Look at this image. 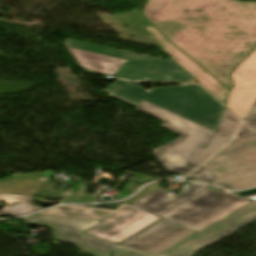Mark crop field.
I'll return each mask as SVG.
<instances>
[{"mask_svg": "<svg viewBox=\"0 0 256 256\" xmlns=\"http://www.w3.org/2000/svg\"><path fill=\"white\" fill-rule=\"evenodd\" d=\"M143 13L230 89L229 73L256 43V2L149 0Z\"/></svg>", "mask_w": 256, "mask_h": 256, "instance_id": "obj_1", "label": "crop field"}, {"mask_svg": "<svg viewBox=\"0 0 256 256\" xmlns=\"http://www.w3.org/2000/svg\"><path fill=\"white\" fill-rule=\"evenodd\" d=\"M102 90L134 107L145 100L211 131H215L223 110V106L199 85L168 86L145 91L118 80Z\"/></svg>", "mask_w": 256, "mask_h": 256, "instance_id": "obj_2", "label": "crop field"}, {"mask_svg": "<svg viewBox=\"0 0 256 256\" xmlns=\"http://www.w3.org/2000/svg\"><path fill=\"white\" fill-rule=\"evenodd\" d=\"M65 45L80 66L136 83L191 79L171 61H163L68 38Z\"/></svg>", "mask_w": 256, "mask_h": 256, "instance_id": "obj_3", "label": "crop field"}, {"mask_svg": "<svg viewBox=\"0 0 256 256\" xmlns=\"http://www.w3.org/2000/svg\"><path fill=\"white\" fill-rule=\"evenodd\" d=\"M135 110L164 122L159 127L181 136L152 150L168 173L187 174L199 166L194 158L210 139L213 134L211 130L208 131L145 101Z\"/></svg>", "mask_w": 256, "mask_h": 256, "instance_id": "obj_4", "label": "crop field"}, {"mask_svg": "<svg viewBox=\"0 0 256 256\" xmlns=\"http://www.w3.org/2000/svg\"><path fill=\"white\" fill-rule=\"evenodd\" d=\"M38 214L103 220L84 233L116 243L161 219L131 205L123 204H120L115 210L84 206H60Z\"/></svg>", "mask_w": 256, "mask_h": 256, "instance_id": "obj_5", "label": "crop field"}, {"mask_svg": "<svg viewBox=\"0 0 256 256\" xmlns=\"http://www.w3.org/2000/svg\"><path fill=\"white\" fill-rule=\"evenodd\" d=\"M205 167L217 177L213 186H256V136L234 141Z\"/></svg>", "mask_w": 256, "mask_h": 256, "instance_id": "obj_6", "label": "crop field"}, {"mask_svg": "<svg viewBox=\"0 0 256 256\" xmlns=\"http://www.w3.org/2000/svg\"><path fill=\"white\" fill-rule=\"evenodd\" d=\"M247 203L248 200L206 189L160 217L197 232Z\"/></svg>", "mask_w": 256, "mask_h": 256, "instance_id": "obj_7", "label": "crop field"}, {"mask_svg": "<svg viewBox=\"0 0 256 256\" xmlns=\"http://www.w3.org/2000/svg\"><path fill=\"white\" fill-rule=\"evenodd\" d=\"M256 220V202L231 212L158 256H192L213 242ZM113 256H155L118 245Z\"/></svg>", "mask_w": 256, "mask_h": 256, "instance_id": "obj_8", "label": "crop field"}, {"mask_svg": "<svg viewBox=\"0 0 256 256\" xmlns=\"http://www.w3.org/2000/svg\"><path fill=\"white\" fill-rule=\"evenodd\" d=\"M27 224H36L52 229L54 238L78 246V249L95 256H111L116 243L100 240L82 232L94 226L99 220L47 217L30 215L21 217Z\"/></svg>", "mask_w": 256, "mask_h": 256, "instance_id": "obj_9", "label": "crop field"}, {"mask_svg": "<svg viewBox=\"0 0 256 256\" xmlns=\"http://www.w3.org/2000/svg\"><path fill=\"white\" fill-rule=\"evenodd\" d=\"M232 78L234 88L227 107L243 119L256 102V48L232 72Z\"/></svg>", "mask_w": 256, "mask_h": 256, "instance_id": "obj_10", "label": "crop field"}, {"mask_svg": "<svg viewBox=\"0 0 256 256\" xmlns=\"http://www.w3.org/2000/svg\"><path fill=\"white\" fill-rule=\"evenodd\" d=\"M175 225L161 220L120 245L158 255L195 233Z\"/></svg>", "mask_w": 256, "mask_h": 256, "instance_id": "obj_11", "label": "crop field"}, {"mask_svg": "<svg viewBox=\"0 0 256 256\" xmlns=\"http://www.w3.org/2000/svg\"><path fill=\"white\" fill-rule=\"evenodd\" d=\"M151 36L170 54L171 58L194 77L203 87L217 97L223 104L229 92L222 84L200 68L183 52L169 43L155 27H145Z\"/></svg>", "mask_w": 256, "mask_h": 256, "instance_id": "obj_12", "label": "crop field"}, {"mask_svg": "<svg viewBox=\"0 0 256 256\" xmlns=\"http://www.w3.org/2000/svg\"><path fill=\"white\" fill-rule=\"evenodd\" d=\"M203 188L205 186L193 184L173 197L167 195L166 191L159 188L132 205L158 216Z\"/></svg>", "mask_w": 256, "mask_h": 256, "instance_id": "obj_13", "label": "crop field"}, {"mask_svg": "<svg viewBox=\"0 0 256 256\" xmlns=\"http://www.w3.org/2000/svg\"><path fill=\"white\" fill-rule=\"evenodd\" d=\"M240 123L241 121H239L238 118L235 117L230 111H228L227 109L224 111L220 125L214 137L197 158L201 164L206 162L231 139H233L234 134Z\"/></svg>", "mask_w": 256, "mask_h": 256, "instance_id": "obj_14", "label": "crop field"}, {"mask_svg": "<svg viewBox=\"0 0 256 256\" xmlns=\"http://www.w3.org/2000/svg\"><path fill=\"white\" fill-rule=\"evenodd\" d=\"M34 197L0 194V201L8 204L0 210V216L3 215H23L42 210V208L33 205Z\"/></svg>", "mask_w": 256, "mask_h": 256, "instance_id": "obj_15", "label": "crop field"}, {"mask_svg": "<svg viewBox=\"0 0 256 256\" xmlns=\"http://www.w3.org/2000/svg\"><path fill=\"white\" fill-rule=\"evenodd\" d=\"M30 182L31 181H28V180L9 178L4 193L27 195Z\"/></svg>", "mask_w": 256, "mask_h": 256, "instance_id": "obj_16", "label": "crop field"}, {"mask_svg": "<svg viewBox=\"0 0 256 256\" xmlns=\"http://www.w3.org/2000/svg\"><path fill=\"white\" fill-rule=\"evenodd\" d=\"M253 134H256V106L243 122L235 139L250 136Z\"/></svg>", "mask_w": 256, "mask_h": 256, "instance_id": "obj_17", "label": "crop field"}, {"mask_svg": "<svg viewBox=\"0 0 256 256\" xmlns=\"http://www.w3.org/2000/svg\"><path fill=\"white\" fill-rule=\"evenodd\" d=\"M157 188H159V182L147 185L136 196H134L122 203L131 204V203L141 199L142 197L146 196L147 194L151 193L152 191H154Z\"/></svg>", "mask_w": 256, "mask_h": 256, "instance_id": "obj_18", "label": "crop field"}, {"mask_svg": "<svg viewBox=\"0 0 256 256\" xmlns=\"http://www.w3.org/2000/svg\"><path fill=\"white\" fill-rule=\"evenodd\" d=\"M189 176L196 177L198 178L196 181L197 182H202V183H207L210 184L212 180L215 178L208 170L203 169V170H197L190 174Z\"/></svg>", "mask_w": 256, "mask_h": 256, "instance_id": "obj_19", "label": "crop field"}, {"mask_svg": "<svg viewBox=\"0 0 256 256\" xmlns=\"http://www.w3.org/2000/svg\"><path fill=\"white\" fill-rule=\"evenodd\" d=\"M40 183L41 182L32 181L28 195L37 196L38 195V191H39V187H40Z\"/></svg>", "mask_w": 256, "mask_h": 256, "instance_id": "obj_20", "label": "crop field"}, {"mask_svg": "<svg viewBox=\"0 0 256 256\" xmlns=\"http://www.w3.org/2000/svg\"><path fill=\"white\" fill-rule=\"evenodd\" d=\"M235 194L243 196L245 198H250L252 200H256V189L245 191V192H240V193H235Z\"/></svg>", "mask_w": 256, "mask_h": 256, "instance_id": "obj_21", "label": "crop field"}, {"mask_svg": "<svg viewBox=\"0 0 256 256\" xmlns=\"http://www.w3.org/2000/svg\"><path fill=\"white\" fill-rule=\"evenodd\" d=\"M7 179H8V178H7ZM7 179L0 180V193H3V192H4Z\"/></svg>", "mask_w": 256, "mask_h": 256, "instance_id": "obj_22", "label": "crop field"}, {"mask_svg": "<svg viewBox=\"0 0 256 256\" xmlns=\"http://www.w3.org/2000/svg\"><path fill=\"white\" fill-rule=\"evenodd\" d=\"M86 202L87 201H77V200H68V199H64L63 201V203H86Z\"/></svg>", "mask_w": 256, "mask_h": 256, "instance_id": "obj_23", "label": "crop field"}]
</instances>
